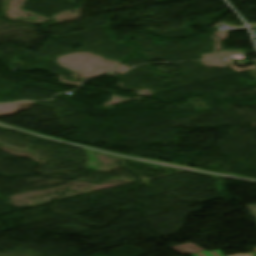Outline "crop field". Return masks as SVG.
<instances>
[{
  "mask_svg": "<svg viewBox=\"0 0 256 256\" xmlns=\"http://www.w3.org/2000/svg\"><path fill=\"white\" fill-rule=\"evenodd\" d=\"M173 250L183 254V255H187V254H191L194 252H199V251H203V249H201L200 247L192 244V243H187V244H183V245H179V246H175V247H170ZM192 256H223L222 253L218 250V251H214V252H200V253H196L193 254Z\"/></svg>",
  "mask_w": 256,
  "mask_h": 256,
  "instance_id": "obj_1",
  "label": "crop field"
},
{
  "mask_svg": "<svg viewBox=\"0 0 256 256\" xmlns=\"http://www.w3.org/2000/svg\"><path fill=\"white\" fill-rule=\"evenodd\" d=\"M248 209L250 210L251 214L256 217V205L255 206H249Z\"/></svg>",
  "mask_w": 256,
  "mask_h": 256,
  "instance_id": "obj_2",
  "label": "crop field"
},
{
  "mask_svg": "<svg viewBox=\"0 0 256 256\" xmlns=\"http://www.w3.org/2000/svg\"><path fill=\"white\" fill-rule=\"evenodd\" d=\"M250 27L252 30H256V24H251Z\"/></svg>",
  "mask_w": 256,
  "mask_h": 256,
  "instance_id": "obj_3",
  "label": "crop field"
}]
</instances>
